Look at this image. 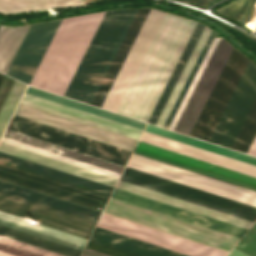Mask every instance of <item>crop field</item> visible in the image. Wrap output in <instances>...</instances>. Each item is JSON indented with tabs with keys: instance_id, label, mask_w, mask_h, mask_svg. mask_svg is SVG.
<instances>
[{
	"instance_id": "crop-field-21",
	"label": "crop field",
	"mask_w": 256,
	"mask_h": 256,
	"mask_svg": "<svg viewBox=\"0 0 256 256\" xmlns=\"http://www.w3.org/2000/svg\"><path fill=\"white\" fill-rule=\"evenodd\" d=\"M8 130L14 131V132H18L33 138H37L52 144H56L74 151H78L93 157H97L112 163H116L119 165L124 166L127 158L115 155V154H111L87 145H83L56 135H52L28 126H24L15 122H10L8 128Z\"/></svg>"
},
{
	"instance_id": "crop-field-24",
	"label": "crop field",
	"mask_w": 256,
	"mask_h": 256,
	"mask_svg": "<svg viewBox=\"0 0 256 256\" xmlns=\"http://www.w3.org/2000/svg\"><path fill=\"white\" fill-rule=\"evenodd\" d=\"M0 191L14 195L35 203H39L60 211H64L82 218H86L92 221H97L100 212L93 211L81 206H77L65 201H61L52 197H48L36 192H32L23 188H19L7 183L0 182Z\"/></svg>"
},
{
	"instance_id": "crop-field-52",
	"label": "crop field",
	"mask_w": 256,
	"mask_h": 256,
	"mask_svg": "<svg viewBox=\"0 0 256 256\" xmlns=\"http://www.w3.org/2000/svg\"><path fill=\"white\" fill-rule=\"evenodd\" d=\"M3 77H4V76L0 74V83H1V81H2V79H3Z\"/></svg>"
},
{
	"instance_id": "crop-field-42",
	"label": "crop field",
	"mask_w": 256,
	"mask_h": 256,
	"mask_svg": "<svg viewBox=\"0 0 256 256\" xmlns=\"http://www.w3.org/2000/svg\"><path fill=\"white\" fill-rule=\"evenodd\" d=\"M215 34L216 33L211 31L205 45H204V47H203L195 65H194V67H193V69H192V71H191V73H190V75H189V77H188V79H187V81H186V83H185V85H184V87H183V89H182V91H181V93H180V95H179V97H178V99H177V101H176V103H175V105H174V107H173L165 125H164L165 128H168V126H169V124H170V122H171V120H172V118H173V116H174V114H175V112H176V110H177V108H178V106H179V104H180V102H181V100H182L190 82L192 81V79H193V77H194V75H195V73H196V71H197V69H198V67H199V65H200V63H201V61H202V59H203V57H204V55H205V53H206V51H207V49H208V47H209V45H210V43H211Z\"/></svg>"
},
{
	"instance_id": "crop-field-19",
	"label": "crop field",
	"mask_w": 256,
	"mask_h": 256,
	"mask_svg": "<svg viewBox=\"0 0 256 256\" xmlns=\"http://www.w3.org/2000/svg\"><path fill=\"white\" fill-rule=\"evenodd\" d=\"M112 198L241 238L246 229L115 189Z\"/></svg>"
},
{
	"instance_id": "crop-field-6",
	"label": "crop field",
	"mask_w": 256,
	"mask_h": 256,
	"mask_svg": "<svg viewBox=\"0 0 256 256\" xmlns=\"http://www.w3.org/2000/svg\"><path fill=\"white\" fill-rule=\"evenodd\" d=\"M105 212L230 251L239 238L110 199Z\"/></svg>"
},
{
	"instance_id": "crop-field-10",
	"label": "crop field",
	"mask_w": 256,
	"mask_h": 256,
	"mask_svg": "<svg viewBox=\"0 0 256 256\" xmlns=\"http://www.w3.org/2000/svg\"><path fill=\"white\" fill-rule=\"evenodd\" d=\"M0 210L19 217H29L41 225L88 239L95 222L60 212L0 192Z\"/></svg>"
},
{
	"instance_id": "crop-field-49",
	"label": "crop field",
	"mask_w": 256,
	"mask_h": 256,
	"mask_svg": "<svg viewBox=\"0 0 256 256\" xmlns=\"http://www.w3.org/2000/svg\"><path fill=\"white\" fill-rule=\"evenodd\" d=\"M188 1H192V2L204 5L212 0H188Z\"/></svg>"
},
{
	"instance_id": "crop-field-17",
	"label": "crop field",
	"mask_w": 256,
	"mask_h": 256,
	"mask_svg": "<svg viewBox=\"0 0 256 256\" xmlns=\"http://www.w3.org/2000/svg\"><path fill=\"white\" fill-rule=\"evenodd\" d=\"M21 104L31 106L43 111H47L59 116H63L75 121H79L94 127H98L110 132H114L126 137H130L138 140L142 130L129 127L111 120H107L86 112H82L61 104H57L39 97H35L29 94H24Z\"/></svg>"
},
{
	"instance_id": "crop-field-36",
	"label": "crop field",
	"mask_w": 256,
	"mask_h": 256,
	"mask_svg": "<svg viewBox=\"0 0 256 256\" xmlns=\"http://www.w3.org/2000/svg\"><path fill=\"white\" fill-rule=\"evenodd\" d=\"M0 159H4L7 161L16 163V164H20V165H23V166H26V167H29L32 169H36V170H39V171H42V172H45L48 174H52V175H55V176H58V177H61V178L67 179V180H71V181H74V182H77V183H80L83 185H87V186H90V187H93V188H96L99 190L109 192V193L112 190V187L102 185V184H99V183H96V182H93L90 180H86V179H83V178H80V177H77L74 175H70V174H67V173H64V172H61L58 170H54V169H51V168H48V167H45V166H42L39 164H35V163L29 162V161H26L23 159H19V158H16V157H13V156H10L7 154L0 153Z\"/></svg>"
},
{
	"instance_id": "crop-field-34",
	"label": "crop field",
	"mask_w": 256,
	"mask_h": 256,
	"mask_svg": "<svg viewBox=\"0 0 256 256\" xmlns=\"http://www.w3.org/2000/svg\"><path fill=\"white\" fill-rule=\"evenodd\" d=\"M195 25H196V22L190 21V23H189V25H188V27H187L184 35H183V37H182V39H181V41H180V43H179V45H178V47L175 51L170 63H169L166 71L164 72V74H163V76H162V78H161V80H160V82H159V84H158V86H157V88H156V90H155V92H154V94H153V96H152V98H151V100H150L142 118H141V121L147 122V120H148V118H149V116H150V114H151V112H152V110H153V108H154V106H155V104H156V102H157V100H158V98H159V96H160V94H161V92H162V90H163L171 72L173 71V69H174V67H175V65H176L184 47H185L193 29H194V27H195Z\"/></svg>"
},
{
	"instance_id": "crop-field-5",
	"label": "crop field",
	"mask_w": 256,
	"mask_h": 256,
	"mask_svg": "<svg viewBox=\"0 0 256 256\" xmlns=\"http://www.w3.org/2000/svg\"><path fill=\"white\" fill-rule=\"evenodd\" d=\"M232 48L222 39L214 37L169 129L189 135Z\"/></svg>"
},
{
	"instance_id": "crop-field-48",
	"label": "crop field",
	"mask_w": 256,
	"mask_h": 256,
	"mask_svg": "<svg viewBox=\"0 0 256 256\" xmlns=\"http://www.w3.org/2000/svg\"><path fill=\"white\" fill-rule=\"evenodd\" d=\"M248 154L256 156V137H255V139H254V141H253V143H252V145H251V147L248 151Z\"/></svg>"
},
{
	"instance_id": "crop-field-12",
	"label": "crop field",
	"mask_w": 256,
	"mask_h": 256,
	"mask_svg": "<svg viewBox=\"0 0 256 256\" xmlns=\"http://www.w3.org/2000/svg\"><path fill=\"white\" fill-rule=\"evenodd\" d=\"M256 97V68L249 61L210 142L230 148Z\"/></svg>"
},
{
	"instance_id": "crop-field-8",
	"label": "crop field",
	"mask_w": 256,
	"mask_h": 256,
	"mask_svg": "<svg viewBox=\"0 0 256 256\" xmlns=\"http://www.w3.org/2000/svg\"><path fill=\"white\" fill-rule=\"evenodd\" d=\"M165 13L150 9L102 108L117 112Z\"/></svg>"
},
{
	"instance_id": "crop-field-22",
	"label": "crop field",
	"mask_w": 256,
	"mask_h": 256,
	"mask_svg": "<svg viewBox=\"0 0 256 256\" xmlns=\"http://www.w3.org/2000/svg\"><path fill=\"white\" fill-rule=\"evenodd\" d=\"M0 225L9 227L36 237H40L64 246H68L77 250H82L86 239L79 238L70 234H66L60 231H56L43 226H36L26 222L20 221V218H16L10 215L0 213Z\"/></svg>"
},
{
	"instance_id": "crop-field-28",
	"label": "crop field",
	"mask_w": 256,
	"mask_h": 256,
	"mask_svg": "<svg viewBox=\"0 0 256 256\" xmlns=\"http://www.w3.org/2000/svg\"><path fill=\"white\" fill-rule=\"evenodd\" d=\"M84 2V0H75ZM69 0H0V13L3 15L68 6L83 5L81 2Z\"/></svg>"
},
{
	"instance_id": "crop-field-44",
	"label": "crop field",
	"mask_w": 256,
	"mask_h": 256,
	"mask_svg": "<svg viewBox=\"0 0 256 256\" xmlns=\"http://www.w3.org/2000/svg\"><path fill=\"white\" fill-rule=\"evenodd\" d=\"M0 162L11 165V166H14V167H18V168H21V169H24V170H27V171H30V172H34V173H37V174H40V175H43V176H46V177H50V178H53V179H56V180H59V181L65 182V183H69V184H72V185H75V186H78V187H81V188H85V189H88V190H91V191H94V192H97V193H101V194H104V195H107V196L110 195L109 193H106V192H103V191H99V190H96V189H93V188H90V187H87V186H83V185H80V184H77V183H74V182H71V181H67V180H64V179H61V178H58V177H55V176H51V175H48V174H45V173H42V172H39V171H36V170H32V169H29V168H26V167H23V166H20V165H16V164L4 161V160H0Z\"/></svg>"
},
{
	"instance_id": "crop-field-9",
	"label": "crop field",
	"mask_w": 256,
	"mask_h": 256,
	"mask_svg": "<svg viewBox=\"0 0 256 256\" xmlns=\"http://www.w3.org/2000/svg\"><path fill=\"white\" fill-rule=\"evenodd\" d=\"M97 227L148 242L189 256H226L227 252L102 214Z\"/></svg>"
},
{
	"instance_id": "crop-field-37",
	"label": "crop field",
	"mask_w": 256,
	"mask_h": 256,
	"mask_svg": "<svg viewBox=\"0 0 256 256\" xmlns=\"http://www.w3.org/2000/svg\"><path fill=\"white\" fill-rule=\"evenodd\" d=\"M256 134V99L249 110L231 149L247 152L254 136Z\"/></svg>"
},
{
	"instance_id": "crop-field-45",
	"label": "crop field",
	"mask_w": 256,
	"mask_h": 256,
	"mask_svg": "<svg viewBox=\"0 0 256 256\" xmlns=\"http://www.w3.org/2000/svg\"><path fill=\"white\" fill-rule=\"evenodd\" d=\"M15 83V80L9 78V77H5L1 86H0V111L13 87Z\"/></svg>"
},
{
	"instance_id": "crop-field-27",
	"label": "crop field",
	"mask_w": 256,
	"mask_h": 256,
	"mask_svg": "<svg viewBox=\"0 0 256 256\" xmlns=\"http://www.w3.org/2000/svg\"><path fill=\"white\" fill-rule=\"evenodd\" d=\"M204 27L205 26L203 24L197 23V25H196V27H195V29H194L191 37H190V39H189L181 57H180L177 65H176L173 73L171 74V76H170V78H169V80H168V82H167V84H166V86H165V88H164V90H163V92H162V94H161V96H160V98H159V100H158V102H157L149 120H148L149 123L155 124V122H156V120H157V118H158L166 100L168 99V97H169V95H170V93H171L179 75L181 74V72H182V70H183L191 52L193 51V49H194L202 31L204 29Z\"/></svg>"
},
{
	"instance_id": "crop-field-26",
	"label": "crop field",
	"mask_w": 256,
	"mask_h": 256,
	"mask_svg": "<svg viewBox=\"0 0 256 256\" xmlns=\"http://www.w3.org/2000/svg\"><path fill=\"white\" fill-rule=\"evenodd\" d=\"M0 152L7 153L10 155L19 157V158H23V159H26V160H29V161H32L35 163H39V164H42V165H45V166H48L51 168H55V169H58V170H61V171H64V172H67L70 174H74V175H77V176H80V177H83L86 179H90V180H93V181H96V182H99L102 184L112 186V187H114L115 183L117 182L116 179L106 177V176H103V175H100V174H97L94 172H90V171H87V170H84V169H81L78 167H74V166H71V165H68V164H65L62 162H58V161H55V160H52V159H49V158H46L43 156H39V155L30 153L27 151H23V150H20V149L11 147V146L1 144V143H0Z\"/></svg>"
},
{
	"instance_id": "crop-field-18",
	"label": "crop field",
	"mask_w": 256,
	"mask_h": 256,
	"mask_svg": "<svg viewBox=\"0 0 256 256\" xmlns=\"http://www.w3.org/2000/svg\"><path fill=\"white\" fill-rule=\"evenodd\" d=\"M141 142L256 177V166L144 131Z\"/></svg>"
},
{
	"instance_id": "crop-field-14",
	"label": "crop field",
	"mask_w": 256,
	"mask_h": 256,
	"mask_svg": "<svg viewBox=\"0 0 256 256\" xmlns=\"http://www.w3.org/2000/svg\"><path fill=\"white\" fill-rule=\"evenodd\" d=\"M61 20L31 25L7 75L29 85Z\"/></svg>"
},
{
	"instance_id": "crop-field-23",
	"label": "crop field",
	"mask_w": 256,
	"mask_h": 256,
	"mask_svg": "<svg viewBox=\"0 0 256 256\" xmlns=\"http://www.w3.org/2000/svg\"><path fill=\"white\" fill-rule=\"evenodd\" d=\"M149 9L138 10L93 102L92 105L101 107Z\"/></svg>"
},
{
	"instance_id": "crop-field-16",
	"label": "crop field",
	"mask_w": 256,
	"mask_h": 256,
	"mask_svg": "<svg viewBox=\"0 0 256 256\" xmlns=\"http://www.w3.org/2000/svg\"><path fill=\"white\" fill-rule=\"evenodd\" d=\"M15 115L132 151L136 140L19 104Z\"/></svg>"
},
{
	"instance_id": "crop-field-38",
	"label": "crop field",
	"mask_w": 256,
	"mask_h": 256,
	"mask_svg": "<svg viewBox=\"0 0 256 256\" xmlns=\"http://www.w3.org/2000/svg\"><path fill=\"white\" fill-rule=\"evenodd\" d=\"M0 250L18 256H60L1 236Z\"/></svg>"
},
{
	"instance_id": "crop-field-32",
	"label": "crop field",
	"mask_w": 256,
	"mask_h": 256,
	"mask_svg": "<svg viewBox=\"0 0 256 256\" xmlns=\"http://www.w3.org/2000/svg\"><path fill=\"white\" fill-rule=\"evenodd\" d=\"M0 235L16 240V241H20L41 249H45L63 256H79L80 255V251L68 248V247H64L40 238H36L9 228H5L0 226Z\"/></svg>"
},
{
	"instance_id": "crop-field-11",
	"label": "crop field",
	"mask_w": 256,
	"mask_h": 256,
	"mask_svg": "<svg viewBox=\"0 0 256 256\" xmlns=\"http://www.w3.org/2000/svg\"><path fill=\"white\" fill-rule=\"evenodd\" d=\"M0 179L102 211L108 197L0 163Z\"/></svg>"
},
{
	"instance_id": "crop-field-4",
	"label": "crop field",
	"mask_w": 256,
	"mask_h": 256,
	"mask_svg": "<svg viewBox=\"0 0 256 256\" xmlns=\"http://www.w3.org/2000/svg\"><path fill=\"white\" fill-rule=\"evenodd\" d=\"M188 23L166 14L118 113L140 120Z\"/></svg>"
},
{
	"instance_id": "crop-field-25",
	"label": "crop field",
	"mask_w": 256,
	"mask_h": 256,
	"mask_svg": "<svg viewBox=\"0 0 256 256\" xmlns=\"http://www.w3.org/2000/svg\"><path fill=\"white\" fill-rule=\"evenodd\" d=\"M90 239L143 256H185L97 227L95 228Z\"/></svg>"
},
{
	"instance_id": "crop-field-20",
	"label": "crop field",
	"mask_w": 256,
	"mask_h": 256,
	"mask_svg": "<svg viewBox=\"0 0 256 256\" xmlns=\"http://www.w3.org/2000/svg\"><path fill=\"white\" fill-rule=\"evenodd\" d=\"M117 189L124 190V191L130 192V193L136 194V195H140V196H143V197H146L149 199H153V200L165 203V204H169V205H172V206H175L178 208H182V209L194 212V213H198V214H201V215H204V216H207L210 218H214V219H217V220H220L223 222H227V223H230V224H233V225H236L239 227H243L246 229H248L250 227V225L252 224V222H249L246 220H242V219L230 216V215H226V214L214 211V210H210V209L198 206V205H194V204H191V203L179 200V199H175V198H172V197H169V196H166L163 194H159V193L147 190V189H143V188L131 185V184H127V183H124L121 181L119 182Z\"/></svg>"
},
{
	"instance_id": "crop-field-1",
	"label": "crop field",
	"mask_w": 256,
	"mask_h": 256,
	"mask_svg": "<svg viewBox=\"0 0 256 256\" xmlns=\"http://www.w3.org/2000/svg\"><path fill=\"white\" fill-rule=\"evenodd\" d=\"M128 167L256 207V191L133 153ZM126 168L121 181L254 222L256 208Z\"/></svg>"
},
{
	"instance_id": "crop-field-33",
	"label": "crop field",
	"mask_w": 256,
	"mask_h": 256,
	"mask_svg": "<svg viewBox=\"0 0 256 256\" xmlns=\"http://www.w3.org/2000/svg\"><path fill=\"white\" fill-rule=\"evenodd\" d=\"M210 31L211 30H209L208 28L205 27V29H204L197 45H196L194 51L192 52V54H191V56H190V58H189V60L186 64L181 76L179 77V79H178V81H177L169 99L166 102V104H165V106H164V108H163V110H162V112H161V114H160V116H159V118L156 122V125H159V126L162 127V125H163V123H164V121H165V119H166V117H167V115H168V113H169L177 95L179 94V92H180V90H181V88H182V86H183V84H184V82H185L193 64L195 63V61H196V59H197L205 41H206Z\"/></svg>"
},
{
	"instance_id": "crop-field-43",
	"label": "crop field",
	"mask_w": 256,
	"mask_h": 256,
	"mask_svg": "<svg viewBox=\"0 0 256 256\" xmlns=\"http://www.w3.org/2000/svg\"><path fill=\"white\" fill-rule=\"evenodd\" d=\"M86 248L99 251L111 256H138L91 240H89L88 244L86 245Z\"/></svg>"
},
{
	"instance_id": "crop-field-29",
	"label": "crop field",
	"mask_w": 256,
	"mask_h": 256,
	"mask_svg": "<svg viewBox=\"0 0 256 256\" xmlns=\"http://www.w3.org/2000/svg\"><path fill=\"white\" fill-rule=\"evenodd\" d=\"M28 27H0V72L6 73Z\"/></svg>"
},
{
	"instance_id": "crop-field-39",
	"label": "crop field",
	"mask_w": 256,
	"mask_h": 256,
	"mask_svg": "<svg viewBox=\"0 0 256 256\" xmlns=\"http://www.w3.org/2000/svg\"><path fill=\"white\" fill-rule=\"evenodd\" d=\"M26 85L20 82H16L1 114H0V137L6 127Z\"/></svg>"
},
{
	"instance_id": "crop-field-15",
	"label": "crop field",
	"mask_w": 256,
	"mask_h": 256,
	"mask_svg": "<svg viewBox=\"0 0 256 256\" xmlns=\"http://www.w3.org/2000/svg\"><path fill=\"white\" fill-rule=\"evenodd\" d=\"M135 153L256 190V178L139 142Z\"/></svg>"
},
{
	"instance_id": "crop-field-30",
	"label": "crop field",
	"mask_w": 256,
	"mask_h": 256,
	"mask_svg": "<svg viewBox=\"0 0 256 256\" xmlns=\"http://www.w3.org/2000/svg\"><path fill=\"white\" fill-rule=\"evenodd\" d=\"M26 93H29V94H32L35 96H39V97H42V98H45V99H48V100H51V101H54L57 103H61V104H64V105H67V106H70V107H73V108H76V109H79L82 111H86V112H89V113H92V114H95V115H98V116H101V117H104L107 119H111V120L129 125V126H133V127H136V128L142 129V130L144 129V127L146 125L144 123H141V122H138L135 120H131V119H128V118H125V117H122V116H119V115H116L113 113H109V112H106V111H103V110H100V109H97V108H94L91 106H87V105H84V104H81V103H78V102H75V101H72V100H69L66 98H62V97H59V96H56V95H53V94H50V93H47L44 91H40V90L31 88V87H28V89L26 90Z\"/></svg>"
},
{
	"instance_id": "crop-field-40",
	"label": "crop field",
	"mask_w": 256,
	"mask_h": 256,
	"mask_svg": "<svg viewBox=\"0 0 256 256\" xmlns=\"http://www.w3.org/2000/svg\"><path fill=\"white\" fill-rule=\"evenodd\" d=\"M228 256H256V223Z\"/></svg>"
},
{
	"instance_id": "crop-field-35",
	"label": "crop field",
	"mask_w": 256,
	"mask_h": 256,
	"mask_svg": "<svg viewBox=\"0 0 256 256\" xmlns=\"http://www.w3.org/2000/svg\"><path fill=\"white\" fill-rule=\"evenodd\" d=\"M146 131L153 132V133L165 136V137H169V138L181 141V142H185V143L197 146V147H201V148L213 151V152H217V153H220V154H223V155H226L229 157H233V158L256 165V158L246 156V155H243V154H240L237 152H233V151L221 148V147H217V146L205 143V142H201V141L189 138V137H185V136H182V135H179V134L167 131V130H163V129H160V128H157V127H154L151 125L147 126Z\"/></svg>"
},
{
	"instance_id": "crop-field-31",
	"label": "crop field",
	"mask_w": 256,
	"mask_h": 256,
	"mask_svg": "<svg viewBox=\"0 0 256 256\" xmlns=\"http://www.w3.org/2000/svg\"><path fill=\"white\" fill-rule=\"evenodd\" d=\"M12 121H15V122H18V123H21L24 125H28V126L52 133V134H56V135H59V136L83 143V144H87V145H90V146H93V147H96V148H99V149H102V150H105V151H108L111 153H115V154L127 157V158L129 157V155L131 153V152L123 150V149H119V148H116V147H113V146H110V145H107L104 143H100V142H97V141H94V140H91V139H88L85 137H81V136H78V135L63 131V130H59V129H56V128H53V127H50V126H47L44 124H40V123L31 121V120H28L25 118L18 117L15 115L13 116Z\"/></svg>"
},
{
	"instance_id": "crop-field-50",
	"label": "crop field",
	"mask_w": 256,
	"mask_h": 256,
	"mask_svg": "<svg viewBox=\"0 0 256 256\" xmlns=\"http://www.w3.org/2000/svg\"><path fill=\"white\" fill-rule=\"evenodd\" d=\"M0 256H15V255H11V254L0 251Z\"/></svg>"
},
{
	"instance_id": "crop-field-41",
	"label": "crop field",
	"mask_w": 256,
	"mask_h": 256,
	"mask_svg": "<svg viewBox=\"0 0 256 256\" xmlns=\"http://www.w3.org/2000/svg\"><path fill=\"white\" fill-rule=\"evenodd\" d=\"M256 0H236L220 9L218 12L241 23Z\"/></svg>"
},
{
	"instance_id": "crop-field-47",
	"label": "crop field",
	"mask_w": 256,
	"mask_h": 256,
	"mask_svg": "<svg viewBox=\"0 0 256 256\" xmlns=\"http://www.w3.org/2000/svg\"><path fill=\"white\" fill-rule=\"evenodd\" d=\"M82 256H108V255L87 249V250H84Z\"/></svg>"
},
{
	"instance_id": "crop-field-51",
	"label": "crop field",
	"mask_w": 256,
	"mask_h": 256,
	"mask_svg": "<svg viewBox=\"0 0 256 256\" xmlns=\"http://www.w3.org/2000/svg\"><path fill=\"white\" fill-rule=\"evenodd\" d=\"M93 1H96V0H86L85 4H88V3L93 2Z\"/></svg>"
},
{
	"instance_id": "crop-field-3",
	"label": "crop field",
	"mask_w": 256,
	"mask_h": 256,
	"mask_svg": "<svg viewBox=\"0 0 256 256\" xmlns=\"http://www.w3.org/2000/svg\"><path fill=\"white\" fill-rule=\"evenodd\" d=\"M136 12H106L65 96L91 104Z\"/></svg>"
},
{
	"instance_id": "crop-field-2",
	"label": "crop field",
	"mask_w": 256,
	"mask_h": 256,
	"mask_svg": "<svg viewBox=\"0 0 256 256\" xmlns=\"http://www.w3.org/2000/svg\"><path fill=\"white\" fill-rule=\"evenodd\" d=\"M104 14L62 20L30 86L64 95Z\"/></svg>"
},
{
	"instance_id": "crop-field-7",
	"label": "crop field",
	"mask_w": 256,
	"mask_h": 256,
	"mask_svg": "<svg viewBox=\"0 0 256 256\" xmlns=\"http://www.w3.org/2000/svg\"><path fill=\"white\" fill-rule=\"evenodd\" d=\"M248 61L233 48L190 136L209 141Z\"/></svg>"
},
{
	"instance_id": "crop-field-46",
	"label": "crop field",
	"mask_w": 256,
	"mask_h": 256,
	"mask_svg": "<svg viewBox=\"0 0 256 256\" xmlns=\"http://www.w3.org/2000/svg\"><path fill=\"white\" fill-rule=\"evenodd\" d=\"M221 23H223V22H221ZM223 24H225V23H223ZM225 25H227V24H225ZM227 26L230 27V28H232V29H234V30L237 31L238 33L242 34L243 36H245V37L248 38L249 40L253 41L254 43H256V37H255V36H252V35H250V34H248V33H245V32H243V31H241V30H238V29H236V28H234V27H232V26H229V25H227Z\"/></svg>"
},
{
	"instance_id": "crop-field-13",
	"label": "crop field",
	"mask_w": 256,
	"mask_h": 256,
	"mask_svg": "<svg viewBox=\"0 0 256 256\" xmlns=\"http://www.w3.org/2000/svg\"><path fill=\"white\" fill-rule=\"evenodd\" d=\"M1 143L119 179L124 167L6 130Z\"/></svg>"
}]
</instances>
